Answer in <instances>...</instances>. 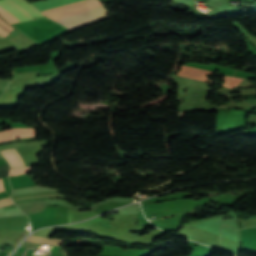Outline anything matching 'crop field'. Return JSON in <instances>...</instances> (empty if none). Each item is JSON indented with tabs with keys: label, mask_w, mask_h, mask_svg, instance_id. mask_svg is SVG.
Returning <instances> with one entry per match:
<instances>
[{
	"label": "crop field",
	"mask_w": 256,
	"mask_h": 256,
	"mask_svg": "<svg viewBox=\"0 0 256 256\" xmlns=\"http://www.w3.org/2000/svg\"><path fill=\"white\" fill-rule=\"evenodd\" d=\"M33 252V250H31V249H27V251H26V253L25 254H27V255H31V253Z\"/></svg>",
	"instance_id": "obj_14"
},
{
	"label": "crop field",
	"mask_w": 256,
	"mask_h": 256,
	"mask_svg": "<svg viewBox=\"0 0 256 256\" xmlns=\"http://www.w3.org/2000/svg\"><path fill=\"white\" fill-rule=\"evenodd\" d=\"M153 250H156V249H153ZM153 250H141L142 256H151V253L153 252Z\"/></svg>",
	"instance_id": "obj_10"
},
{
	"label": "crop field",
	"mask_w": 256,
	"mask_h": 256,
	"mask_svg": "<svg viewBox=\"0 0 256 256\" xmlns=\"http://www.w3.org/2000/svg\"><path fill=\"white\" fill-rule=\"evenodd\" d=\"M17 251H18V252H22V253H24L25 249H23V248H19Z\"/></svg>",
	"instance_id": "obj_15"
},
{
	"label": "crop field",
	"mask_w": 256,
	"mask_h": 256,
	"mask_svg": "<svg viewBox=\"0 0 256 256\" xmlns=\"http://www.w3.org/2000/svg\"><path fill=\"white\" fill-rule=\"evenodd\" d=\"M10 204H13V202L9 198L0 200V207L10 205Z\"/></svg>",
	"instance_id": "obj_9"
},
{
	"label": "crop field",
	"mask_w": 256,
	"mask_h": 256,
	"mask_svg": "<svg viewBox=\"0 0 256 256\" xmlns=\"http://www.w3.org/2000/svg\"><path fill=\"white\" fill-rule=\"evenodd\" d=\"M54 256H66L65 253H54Z\"/></svg>",
	"instance_id": "obj_13"
},
{
	"label": "crop field",
	"mask_w": 256,
	"mask_h": 256,
	"mask_svg": "<svg viewBox=\"0 0 256 256\" xmlns=\"http://www.w3.org/2000/svg\"><path fill=\"white\" fill-rule=\"evenodd\" d=\"M82 0H47L42 2H36L32 3L39 11L45 10L48 8H52L55 6L63 5V4H69L74 3ZM108 14L107 11L104 9L103 6L56 21L70 30L79 28L85 25H88L90 23L103 20L108 18L106 15Z\"/></svg>",
	"instance_id": "obj_1"
},
{
	"label": "crop field",
	"mask_w": 256,
	"mask_h": 256,
	"mask_svg": "<svg viewBox=\"0 0 256 256\" xmlns=\"http://www.w3.org/2000/svg\"><path fill=\"white\" fill-rule=\"evenodd\" d=\"M225 76V81L223 86H227V87H231L233 88L234 86H236L240 81H242V78H236V77H231V76Z\"/></svg>",
	"instance_id": "obj_7"
},
{
	"label": "crop field",
	"mask_w": 256,
	"mask_h": 256,
	"mask_svg": "<svg viewBox=\"0 0 256 256\" xmlns=\"http://www.w3.org/2000/svg\"><path fill=\"white\" fill-rule=\"evenodd\" d=\"M0 191H4L2 179H0Z\"/></svg>",
	"instance_id": "obj_12"
},
{
	"label": "crop field",
	"mask_w": 256,
	"mask_h": 256,
	"mask_svg": "<svg viewBox=\"0 0 256 256\" xmlns=\"http://www.w3.org/2000/svg\"><path fill=\"white\" fill-rule=\"evenodd\" d=\"M15 28L10 26L9 24L5 23L1 18H0V34L4 37H6L8 34H10Z\"/></svg>",
	"instance_id": "obj_6"
},
{
	"label": "crop field",
	"mask_w": 256,
	"mask_h": 256,
	"mask_svg": "<svg viewBox=\"0 0 256 256\" xmlns=\"http://www.w3.org/2000/svg\"><path fill=\"white\" fill-rule=\"evenodd\" d=\"M26 241H28V242H35V243H42V244H48V245H54V246H60L64 242V240L47 239V238L34 237V236H30Z\"/></svg>",
	"instance_id": "obj_5"
},
{
	"label": "crop field",
	"mask_w": 256,
	"mask_h": 256,
	"mask_svg": "<svg viewBox=\"0 0 256 256\" xmlns=\"http://www.w3.org/2000/svg\"><path fill=\"white\" fill-rule=\"evenodd\" d=\"M212 73H213L212 71H206V70L181 66L180 72L176 75L213 83V81L208 80V78L205 75V74H212Z\"/></svg>",
	"instance_id": "obj_3"
},
{
	"label": "crop field",
	"mask_w": 256,
	"mask_h": 256,
	"mask_svg": "<svg viewBox=\"0 0 256 256\" xmlns=\"http://www.w3.org/2000/svg\"><path fill=\"white\" fill-rule=\"evenodd\" d=\"M30 169H31L30 167L14 169V170H11L9 176L25 174V173L30 172Z\"/></svg>",
	"instance_id": "obj_8"
},
{
	"label": "crop field",
	"mask_w": 256,
	"mask_h": 256,
	"mask_svg": "<svg viewBox=\"0 0 256 256\" xmlns=\"http://www.w3.org/2000/svg\"><path fill=\"white\" fill-rule=\"evenodd\" d=\"M0 7L13 14L20 22L33 20L31 17L43 15L27 0H0ZM1 8L0 15L6 22L10 24L19 22L13 15Z\"/></svg>",
	"instance_id": "obj_2"
},
{
	"label": "crop field",
	"mask_w": 256,
	"mask_h": 256,
	"mask_svg": "<svg viewBox=\"0 0 256 256\" xmlns=\"http://www.w3.org/2000/svg\"><path fill=\"white\" fill-rule=\"evenodd\" d=\"M1 153L7 158L12 169L25 166L22 157L15 149L1 151Z\"/></svg>",
	"instance_id": "obj_4"
},
{
	"label": "crop field",
	"mask_w": 256,
	"mask_h": 256,
	"mask_svg": "<svg viewBox=\"0 0 256 256\" xmlns=\"http://www.w3.org/2000/svg\"><path fill=\"white\" fill-rule=\"evenodd\" d=\"M0 38H2V37L0 36Z\"/></svg>",
	"instance_id": "obj_16"
},
{
	"label": "crop field",
	"mask_w": 256,
	"mask_h": 256,
	"mask_svg": "<svg viewBox=\"0 0 256 256\" xmlns=\"http://www.w3.org/2000/svg\"><path fill=\"white\" fill-rule=\"evenodd\" d=\"M13 128H16V127H28L22 123H16V124H10Z\"/></svg>",
	"instance_id": "obj_11"
}]
</instances>
